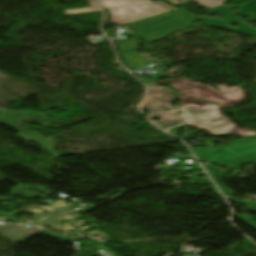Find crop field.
Wrapping results in <instances>:
<instances>
[{"label": "crop field", "instance_id": "6", "mask_svg": "<svg viewBox=\"0 0 256 256\" xmlns=\"http://www.w3.org/2000/svg\"><path fill=\"white\" fill-rule=\"evenodd\" d=\"M207 171L210 173V175L213 177L215 180L216 184L219 186V188L222 190V192L225 194V196L232 195L233 192L229 191L228 189L224 188L221 184V178L224 173L223 169L211 167L209 165L206 166Z\"/></svg>", "mask_w": 256, "mask_h": 256}, {"label": "crop field", "instance_id": "9", "mask_svg": "<svg viewBox=\"0 0 256 256\" xmlns=\"http://www.w3.org/2000/svg\"><path fill=\"white\" fill-rule=\"evenodd\" d=\"M205 8L210 9L214 7L221 6L226 3L227 0H196Z\"/></svg>", "mask_w": 256, "mask_h": 256}, {"label": "crop field", "instance_id": "4", "mask_svg": "<svg viewBox=\"0 0 256 256\" xmlns=\"http://www.w3.org/2000/svg\"><path fill=\"white\" fill-rule=\"evenodd\" d=\"M102 2L110 11L112 22L121 25L171 11L151 0H102Z\"/></svg>", "mask_w": 256, "mask_h": 256}, {"label": "crop field", "instance_id": "14", "mask_svg": "<svg viewBox=\"0 0 256 256\" xmlns=\"http://www.w3.org/2000/svg\"><path fill=\"white\" fill-rule=\"evenodd\" d=\"M158 3H161V4L165 5V6L170 7V8H173V9H177V8H175V7H172V6H169V5H167V4H164V3L160 2V1H159Z\"/></svg>", "mask_w": 256, "mask_h": 256}, {"label": "crop field", "instance_id": "1", "mask_svg": "<svg viewBox=\"0 0 256 256\" xmlns=\"http://www.w3.org/2000/svg\"><path fill=\"white\" fill-rule=\"evenodd\" d=\"M169 84L180 92L181 97L215 101L222 103L225 107L215 102L196 101L187 98L181 99V107H171V102L179 99L176 91L160 87L157 83H147L149 94L141 105V109L150 110L147 115L150 119L153 117L161 118L157 121L151 119L158 127L170 129L179 125H189L208 130L214 135L256 136L255 131L237 127L219 112L222 108L244 100L245 92L242 87L215 86L222 91L216 92L211 86H202L189 80H179ZM178 110L183 112L182 117L179 116Z\"/></svg>", "mask_w": 256, "mask_h": 256}, {"label": "crop field", "instance_id": "12", "mask_svg": "<svg viewBox=\"0 0 256 256\" xmlns=\"http://www.w3.org/2000/svg\"><path fill=\"white\" fill-rule=\"evenodd\" d=\"M212 184L210 179L192 178L191 185Z\"/></svg>", "mask_w": 256, "mask_h": 256}, {"label": "crop field", "instance_id": "7", "mask_svg": "<svg viewBox=\"0 0 256 256\" xmlns=\"http://www.w3.org/2000/svg\"><path fill=\"white\" fill-rule=\"evenodd\" d=\"M239 13L245 15L253 23L256 22V0L239 6Z\"/></svg>", "mask_w": 256, "mask_h": 256}, {"label": "crop field", "instance_id": "15", "mask_svg": "<svg viewBox=\"0 0 256 256\" xmlns=\"http://www.w3.org/2000/svg\"><path fill=\"white\" fill-rule=\"evenodd\" d=\"M236 3L246 1V0H234Z\"/></svg>", "mask_w": 256, "mask_h": 256}, {"label": "crop field", "instance_id": "3", "mask_svg": "<svg viewBox=\"0 0 256 256\" xmlns=\"http://www.w3.org/2000/svg\"><path fill=\"white\" fill-rule=\"evenodd\" d=\"M171 14V16H168ZM196 18L184 13L171 11L131 23L136 35L147 42L169 35L181 29L192 27ZM154 31L155 33H152Z\"/></svg>", "mask_w": 256, "mask_h": 256}, {"label": "crop field", "instance_id": "11", "mask_svg": "<svg viewBox=\"0 0 256 256\" xmlns=\"http://www.w3.org/2000/svg\"><path fill=\"white\" fill-rule=\"evenodd\" d=\"M228 199L231 201L237 202L239 204L247 206V209H249V210L256 211V202H249V201L239 202L231 197Z\"/></svg>", "mask_w": 256, "mask_h": 256}, {"label": "crop field", "instance_id": "8", "mask_svg": "<svg viewBox=\"0 0 256 256\" xmlns=\"http://www.w3.org/2000/svg\"><path fill=\"white\" fill-rule=\"evenodd\" d=\"M89 4L91 5V8L78 9V10H69V11H65V13H66V15H71V14H81V13H89V12L101 11L99 3H98L97 0L90 1Z\"/></svg>", "mask_w": 256, "mask_h": 256}, {"label": "crop field", "instance_id": "5", "mask_svg": "<svg viewBox=\"0 0 256 256\" xmlns=\"http://www.w3.org/2000/svg\"><path fill=\"white\" fill-rule=\"evenodd\" d=\"M210 12H212L214 14H218L227 20L222 22V21H218V20L211 19L208 17H204V18L200 19L208 26L222 27V28L238 31L241 33H245L248 35L256 36V30L252 29L251 27L247 26L245 23L241 22L238 19V17L236 16V14L233 13L232 11H230L228 5L221 6V7L215 8V9H211ZM227 23H234V24L239 25L240 27L231 28L226 25Z\"/></svg>", "mask_w": 256, "mask_h": 256}, {"label": "crop field", "instance_id": "13", "mask_svg": "<svg viewBox=\"0 0 256 256\" xmlns=\"http://www.w3.org/2000/svg\"><path fill=\"white\" fill-rule=\"evenodd\" d=\"M17 137H19V138H21V139H23V140H25V141H27V142L33 141V140L29 139L28 137H26V136H24V135H22V134H18Z\"/></svg>", "mask_w": 256, "mask_h": 256}, {"label": "crop field", "instance_id": "2", "mask_svg": "<svg viewBox=\"0 0 256 256\" xmlns=\"http://www.w3.org/2000/svg\"><path fill=\"white\" fill-rule=\"evenodd\" d=\"M192 150L199 159L207 160V163L210 164L228 168L227 166L233 160L256 153V139H244L222 147L192 148ZM252 159L255 161H252ZM247 162L256 164V155L237 160L228 169H241L240 166Z\"/></svg>", "mask_w": 256, "mask_h": 256}, {"label": "crop field", "instance_id": "10", "mask_svg": "<svg viewBox=\"0 0 256 256\" xmlns=\"http://www.w3.org/2000/svg\"><path fill=\"white\" fill-rule=\"evenodd\" d=\"M116 44L118 48L121 49L136 46L137 43L134 40H121L116 42Z\"/></svg>", "mask_w": 256, "mask_h": 256}]
</instances>
